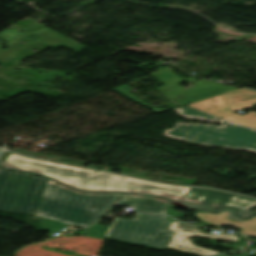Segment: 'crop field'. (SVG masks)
<instances>
[{
  "instance_id": "733c2abd",
  "label": "crop field",
  "mask_w": 256,
  "mask_h": 256,
  "mask_svg": "<svg viewBox=\"0 0 256 256\" xmlns=\"http://www.w3.org/2000/svg\"><path fill=\"white\" fill-rule=\"evenodd\" d=\"M172 207L170 204H169V209H168V215H173V216H179V217H183V213H179V212H176L174 210H172Z\"/></svg>"
},
{
  "instance_id": "214f88e0",
  "label": "crop field",
  "mask_w": 256,
  "mask_h": 256,
  "mask_svg": "<svg viewBox=\"0 0 256 256\" xmlns=\"http://www.w3.org/2000/svg\"><path fill=\"white\" fill-rule=\"evenodd\" d=\"M3 152V150L0 149V154Z\"/></svg>"
},
{
  "instance_id": "d1516ede",
  "label": "crop field",
  "mask_w": 256,
  "mask_h": 256,
  "mask_svg": "<svg viewBox=\"0 0 256 256\" xmlns=\"http://www.w3.org/2000/svg\"><path fill=\"white\" fill-rule=\"evenodd\" d=\"M173 111H175L176 113H178L184 118L205 120L211 123L221 118V117H218L209 113H205L187 106L179 107Z\"/></svg>"
},
{
  "instance_id": "34b2d1b8",
  "label": "crop field",
  "mask_w": 256,
  "mask_h": 256,
  "mask_svg": "<svg viewBox=\"0 0 256 256\" xmlns=\"http://www.w3.org/2000/svg\"><path fill=\"white\" fill-rule=\"evenodd\" d=\"M216 125H186L179 121L173 129H165L164 135L181 141L222 146L233 149H248L256 152V130L229 120Z\"/></svg>"
},
{
  "instance_id": "412701ff",
  "label": "crop field",
  "mask_w": 256,
  "mask_h": 256,
  "mask_svg": "<svg viewBox=\"0 0 256 256\" xmlns=\"http://www.w3.org/2000/svg\"><path fill=\"white\" fill-rule=\"evenodd\" d=\"M134 220L116 218L106 234V239L141 245L156 249H165L173 233L166 229L170 221L167 217L137 213Z\"/></svg>"
},
{
  "instance_id": "4a817a6b",
  "label": "crop field",
  "mask_w": 256,
  "mask_h": 256,
  "mask_svg": "<svg viewBox=\"0 0 256 256\" xmlns=\"http://www.w3.org/2000/svg\"><path fill=\"white\" fill-rule=\"evenodd\" d=\"M9 154H10V152H5V153L3 154V156L0 158V166L3 165L5 159L8 157Z\"/></svg>"
},
{
  "instance_id": "22f410ed",
  "label": "crop field",
  "mask_w": 256,
  "mask_h": 256,
  "mask_svg": "<svg viewBox=\"0 0 256 256\" xmlns=\"http://www.w3.org/2000/svg\"><path fill=\"white\" fill-rule=\"evenodd\" d=\"M113 90L122 94V95H124V96H126V97H128V98H130V99H132V100H134V101H136V102H138V103H140V104H142V105H144V106H146V107H148V108H150V109H152V110H154L157 113L163 112V111H166V110H170L169 108L159 110V109H157V108H155V107L137 99V97L135 95L129 93L131 91V89H130V86H128L126 84H123V85H121V86H119V87H117Z\"/></svg>"
},
{
  "instance_id": "28ad6ade",
  "label": "crop field",
  "mask_w": 256,
  "mask_h": 256,
  "mask_svg": "<svg viewBox=\"0 0 256 256\" xmlns=\"http://www.w3.org/2000/svg\"><path fill=\"white\" fill-rule=\"evenodd\" d=\"M31 34H34V35L38 36L41 41H44V42H46V43H48L52 46L59 45V44L63 43V44H65V45H67V46H69V47H71L75 50H79L82 47H84V46H82V45H80V44H78V43H76V42H74V41H72V40H70V39L52 31V30H50V29H48V28H42V29H39L37 31L26 34V35H24V37L22 39L27 40V41H31V42H35V43H40V42H37L35 40H32V39H29V38L25 37V36L31 35Z\"/></svg>"
},
{
  "instance_id": "f4fd0767",
  "label": "crop field",
  "mask_w": 256,
  "mask_h": 256,
  "mask_svg": "<svg viewBox=\"0 0 256 256\" xmlns=\"http://www.w3.org/2000/svg\"><path fill=\"white\" fill-rule=\"evenodd\" d=\"M45 181L27 173L1 169L0 211L35 215L47 186Z\"/></svg>"
},
{
  "instance_id": "ac0d7876",
  "label": "crop field",
  "mask_w": 256,
  "mask_h": 256,
  "mask_svg": "<svg viewBox=\"0 0 256 256\" xmlns=\"http://www.w3.org/2000/svg\"><path fill=\"white\" fill-rule=\"evenodd\" d=\"M123 195L76 192L49 180L36 215L43 218V228L52 232L64 228L67 224L86 227L115 205H120Z\"/></svg>"
},
{
  "instance_id": "cbeb9de0",
  "label": "crop field",
  "mask_w": 256,
  "mask_h": 256,
  "mask_svg": "<svg viewBox=\"0 0 256 256\" xmlns=\"http://www.w3.org/2000/svg\"><path fill=\"white\" fill-rule=\"evenodd\" d=\"M107 230L108 228L96 223L92 227L88 228V231L83 235L104 239Z\"/></svg>"
},
{
  "instance_id": "3316defc",
  "label": "crop field",
  "mask_w": 256,
  "mask_h": 256,
  "mask_svg": "<svg viewBox=\"0 0 256 256\" xmlns=\"http://www.w3.org/2000/svg\"><path fill=\"white\" fill-rule=\"evenodd\" d=\"M230 211H223L221 214H210L198 212L195 214L200 220L220 226L221 224L243 228L242 234L256 236V217L250 218L248 221H234L228 219Z\"/></svg>"
},
{
  "instance_id": "e52e79f7",
  "label": "crop field",
  "mask_w": 256,
  "mask_h": 256,
  "mask_svg": "<svg viewBox=\"0 0 256 256\" xmlns=\"http://www.w3.org/2000/svg\"><path fill=\"white\" fill-rule=\"evenodd\" d=\"M168 219L172 221L168 231H172L175 235L172 241L169 242L166 249L207 256V255H213V254H219V253L205 249V248L197 247L191 241L190 239L191 236H197V237L215 239V240L233 241V242H238L239 240V238L236 235L206 234V233H202L198 227L186 225L184 223L178 222L169 217Z\"/></svg>"
},
{
  "instance_id": "5142ce71",
  "label": "crop field",
  "mask_w": 256,
  "mask_h": 256,
  "mask_svg": "<svg viewBox=\"0 0 256 256\" xmlns=\"http://www.w3.org/2000/svg\"><path fill=\"white\" fill-rule=\"evenodd\" d=\"M23 33L12 29V30H5L0 33V37L4 40L8 41L9 43L6 45V47L11 46Z\"/></svg>"
},
{
  "instance_id": "dd49c442",
  "label": "crop field",
  "mask_w": 256,
  "mask_h": 256,
  "mask_svg": "<svg viewBox=\"0 0 256 256\" xmlns=\"http://www.w3.org/2000/svg\"><path fill=\"white\" fill-rule=\"evenodd\" d=\"M243 99L250 100L240 101ZM212 100H215V102ZM254 104H256V91L240 88L189 104V106L256 129V113L250 111L244 116L232 113L237 109L251 107Z\"/></svg>"
},
{
  "instance_id": "8a807250",
  "label": "crop field",
  "mask_w": 256,
  "mask_h": 256,
  "mask_svg": "<svg viewBox=\"0 0 256 256\" xmlns=\"http://www.w3.org/2000/svg\"><path fill=\"white\" fill-rule=\"evenodd\" d=\"M3 167L31 171L87 192L120 191L163 196L180 202L190 188L156 184L121 176L33 160L11 153Z\"/></svg>"
},
{
  "instance_id": "5a996713",
  "label": "crop field",
  "mask_w": 256,
  "mask_h": 256,
  "mask_svg": "<svg viewBox=\"0 0 256 256\" xmlns=\"http://www.w3.org/2000/svg\"><path fill=\"white\" fill-rule=\"evenodd\" d=\"M133 210L167 215L168 201L144 195L125 194L122 204Z\"/></svg>"
},
{
  "instance_id": "d8731c3e",
  "label": "crop field",
  "mask_w": 256,
  "mask_h": 256,
  "mask_svg": "<svg viewBox=\"0 0 256 256\" xmlns=\"http://www.w3.org/2000/svg\"><path fill=\"white\" fill-rule=\"evenodd\" d=\"M182 200L211 207L233 206L241 210L256 206L255 199L197 188H191Z\"/></svg>"
},
{
  "instance_id": "d9b57169",
  "label": "crop field",
  "mask_w": 256,
  "mask_h": 256,
  "mask_svg": "<svg viewBox=\"0 0 256 256\" xmlns=\"http://www.w3.org/2000/svg\"><path fill=\"white\" fill-rule=\"evenodd\" d=\"M25 47L21 45H14L9 51H7L4 55L0 57V61H10L15 56H17Z\"/></svg>"
},
{
  "instance_id": "bc2a9ffb",
  "label": "crop field",
  "mask_w": 256,
  "mask_h": 256,
  "mask_svg": "<svg viewBox=\"0 0 256 256\" xmlns=\"http://www.w3.org/2000/svg\"><path fill=\"white\" fill-rule=\"evenodd\" d=\"M3 51H5V50H4V49H0V54H1Z\"/></svg>"
}]
</instances>
